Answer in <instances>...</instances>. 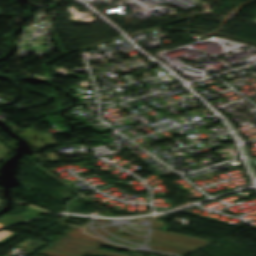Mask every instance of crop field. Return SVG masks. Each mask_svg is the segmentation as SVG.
Segmentation results:
<instances>
[{
  "mask_svg": "<svg viewBox=\"0 0 256 256\" xmlns=\"http://www.w3.org/2000/svg\"><path fill=\"white\" fill-rule=\"evenodd\" d=\"M9 151L10 150L0 142V161L8 155Z\"/></svg>",
  "mask_w": 256,
  "mask_h": 256,
  "instance_id": "1",
  "label": "crop field"
},
{
  "mask_svg": "<svg viewBox=\"0 0 256 256\" xmlns=\"http://www.w3.org/2000/svg\"><path fill=\"white\" fill-rule=\"evenodd\" d=\"M0 227H3L2 225H0Z\"/></svg>",
  "mask_w": 256,
  "mask_h": 256,
  "instance_id": "2",
  "label": "crop field"
}]
</instances>
